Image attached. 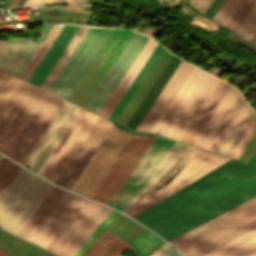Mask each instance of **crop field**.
Wrapping results in <instances>:
<instances>
[{
  "label": "crop field",
  "mask_w": 256,
  "mask_h": 256,
  "mask_svg": "<svg viewBox=\"0 0 256 256\" xmlns=\"http://www.w3.org/2000/svg\"><path fill=\"white\" fill-rule=\"evenodd\" d=\"M255 130H256V119L252 124V126L250 127V129L248 130V132L246 133L241 143L239 144V146L237 147L236 151L234 150L235 151L234 154L232 153L233 154L232 158L237 159V157L239 156V154L241 153V151L243 150V148L245 147V145L247 144V142L249 141V139L251 138Z\"/></svg>",
  "instance_id": "crop-field-38"
},
{
  "label": "crop field",
  "mask_w": 256,
  "mask_h": 256,
  "mask_svg": "<svg viewBox=\"0 0 256 256\" xmlns=\"http://www.w3.org/2000/svg\"><path fill=\"white\" fill-rule=\"evenodd\" d=\"M219 81L194 67L152 132L180 141Z\"/></svg>",
  "instance_id": "crop-field-4"
},
{
  "label": "crop field",
  "mask_w": 256,
  "mask_h": 256,
  "mask_svg": "<svg viewBox=\"0 0 256 256\" xmlns=\"http://www.w3.org/2000/svg\"><path fill=\"white\" fill-rule=\"evenodd\" d=\"M85 0H41L39 5L43 4H84Z\"/></svg>",
  "instance_id": "crop-field-42"
},
{
  "label": "crop field",
  "mask_w": 256,
  "mask_h": 256,
  "mask_svg": "<svg viewBox=\"0 0 256 256\" xmlns=\"http://www.w3.org/2000/svg\"><path fill=\"white\" fill-rule=\"evenodd\" d=\"M109 214V213H108ZM117 214L115 211H111L110 214L105 218V220L100 224V226L94 231V233L89 237V239L83 244V246L78 250V252L74 256H81L85 250L90 246V244L94 241V239L99 235V233L105 228V226L114 218Z\"/></svg>",
  "instance_id": "crop-field-36"
},
{
  "label": "crop field",
  "mask_w": 256,
  "mask_h": 256,
  "mask_svg": "<svg viewBox=\"0 0 256 256\" xmlns=\"http://www.w3.org/2000/svg\"><path fill=\"white\" fill-rule=\"evenodd\" d=\"M256 196V151L248 163L137 219L167 241Z\"/></svg>",
  "instance_id": "crop-field-1"
},
{
  "label": "crop field",
  "mask_w": 256,
  "mask_h": 256,
  "mask_svg": "<svg viewBox=\"0 0 256 256\" xmlns=\"http://www.w3.org/2000/svg\"><path fill=\"white\" fill-rule=\"evenodd\" d=\"M0 256H10V255L0 249Z\"/></svg>",
  "instance_id": "crop-field-44"
},
{
  "label": "crop field",
  "mask_w": 256,
  "mask_h": 256,
  "mask_svg": "<svg viewBox=\"0 0 256 256\" xmlns=\"http://www.w3.org/2000/svg\"><path fill=\"white\" fill-rule=\"evenodd\" d=\"M250 43H252V44L256 45V35L253 37V39L251 40V42H250Z\"/></svg>",
  "instance_id": "crop-field-45"
},
{
  "label": "crop field",
  "mask_w": 256,
  "mask_h": 256,
  "mask_svg": "<svg viewBox=\"0 0 256 256\" xmlns=\"http://www.w3.org/2000/svg\"><path fill=\"white\" fill-rule=\"evenodd\" d=\"M150 256H181V255L165 243Z\"/></svg>",
  "instance_id": "crop-field-40"
},
{
  "label": "crop field",
  "mask_w": 256,
  "mask_h": 256,
  "mask_svg": "<svg viewBox=\"0 0 256 256\" xmlns=\"http://www.w3.org/2000/svg\"><path fill=\"white\" fill-rule=\"evenodd\" d=\"M242 23V22H241ZM240 26V25H239ZM235 33V32H234ZM256 33V4L247 15L235 34L249 41Z\"/></svg>",
  "instance_id": "crop-field-33"
},
{
  "label": "crop field",
  "mask_w": 256,
  "mask_h": 256,
  "mask_svg": "<svg viewBox=\"0 0 256 256\" xmlns=\"http://www.w3.org/2000/svg\"><path fill=\"white\" fill-rule=\"evenodd\" d=\"M65 190L55 187L39 208L33 213L23 227L18 231L16 236L25 239L27 235L33 230V228L39 223V221L45 216V214L51 209V207L57 202V200L63 195Z\"/></svg>",
  "instance_id": "crop-field-25"
},
{
  "label": "crop field",
  "mask_w": 256,
  "mask_h": 256,
  "mask_svg": "<svg viewBox=\"0 0 256 256\" xmlns=\"http://www.w3.org/2000/svg\"><path fill=\"white\" fill-rule=\"evenodd\" d=\"M76 105L65 100L55 117L52 119L34 148L31 150L25 161L23 162V166L31 169L35 168L73 109Z\"/></svg>",
  "instance_id": "crop-field-18"
},
{
  "label": "crop field",
  "mask_w": 256,
  "mask_h": 256,
  "mask_svg": "<svg viewBox=\"0 0 256 256\" xmlns=\"http://www.w3.org/2000/svg\"><path fill=\"white\" fill-rule=\"evenodd\" d=\"M98 118L83 108L39 175L56 183Z\"/></svg>",
  "instance_id": "crop-field-10"
},
{
  "label": "crop field",
  "mask_w": 256,
  "mask_h": 256,
  "mask_svg": "<svg viewBox=\"0 0 256 256\" xmlns=\"http://www.w3.org/2000/svg\"><path fill=\"white\" fill-rule=\"evenodd\" d=\"M110 31L111 29L89 27L48 91L66 98Z\"/></svg>",
  "instance_id": "crop-field-8"
},
{
  "label": "crop field",
  "mask_w": 256,
  "mask_h": 256,
  "mask_svg": "<svg viewBox=\"0 0 256 256\" xmlns=\"http://www.w3.org/2000/svg\"><path fill=\"white\" fill-rule=\"evenodd\" d=\"M163 48L164 47H162L160 44L156 45V47L154 48V50L152 51V53L150 54V56L148 57V59L146 60V62L144 63V65L142 66V68L140 69V71L138 72V74L136 75V77L126 90V92L124 93V95L122 96L121 100L109 116V119L115 121V119L117 118L125 104L128 102V100L130 99V97L132 96V94L134 93V91L136 90V88L138 87V85L140 84V82L150 69V67L153 65V63L155 62Z\"/></svg>",
  "instance_id": "crop-field-24"
},
{
  "label": "crop field",
  "mask_w": 256,
  "mask_h": 256,
  "mask_svg": "<svg viewBox=\"0 0 256 256\" xmlns=\"http://www.w3.org/2000/svg\"><path fill=\"white\" fill-rule=\"evenodd\" d=\"M22 83V80L0 71V115Z\"/></svg>",
  "instance_id": "crop-field-26"
},
{
  "label": "crop field",
  "mask_w": 256,
  "mask_h": 256,
  "mask_svg": "<svg viewBox=\"0 0 256 256\" xmlns=\"http://www.w3.org/2000/svg\"><path fill=\"white\" fill-rule=\"evenodd\" d=\"M4 43H5V41H0V49L3 46Z\"/></svg>",
  "instance_id": "crop-field-47"
},
{
  "label": "crop field",
  "mask_w": 256,
  "mask_h": 256,
  "mask_svg": "<svg viewBox=\"0 0 256 256\" xmlns=\"http://www.w3.org/2000/svg\"><path fill=\"white\" fill-rule=\"evenodd\" d=\"M202 256H256V228Z\"/></svg>",
  "instance_id": "crop-field-22"
},
{
  "label": "crop field",
  "mask_w": 256,
  "mask_h": 256,
  "mask_svg": "<svg viewBox=\"0 0 256 256\" xmlns=\"http://www.w3.org/2000/svg\"><path fill=\"white\" fill-rule=\"evenodd\" d=\"M241 1L242 0H226L212 20L224 27Z\"/></svg>",
  "instance_id": "crop-field-34"
},
{
  "label": "crop field",
  "mask_w": 256,
  "mask_h": 256,
  "mask_svg": "<svg viewBox=\"0 0 256 256\" xmlns=\"http://www.w3.org/2000/svg\"><path fill=\"white\" fill-rule=\"evenodd\" d=\"M156 43L157 42H155L153 39L149 37V39L143 46L142 50L140 51V53L138 54V56L136 57V59L134 60V62L126 72L125 76L123 77V79L121 80V82L119 83V85L117 86V88L115 89L111 97L109 98L106 105L104 104L105 105L104 108L102 107L103 108L102 111L100 110L101 111L100 115L108 118V116L110 115V113L112 112L116 104L118 103L119 99L121 98V96L129 86V84L131 83V81L133 80V78L135 77V75L143 65L144 61L146 60V58L148 57V55L156 45Z\"/></svg>",
  "instance_id": "crop-field-20"
},
{
  "label": "crop field",
  "mask_w": 256,
  "mask_h": 256,
  "mask_svg": "<svg viewBox=\"0 0 256 256\" xmlns=\"http://www.w3.org/2000/svg\"><path fill=\"white\" fill-rule=\"evenodd\" d=\"M0 157H1V154H0Z\"/></svg>",
  "instance_id": "crop-field-48"
},
{
  "label": "crop field",
  "mask_w": 256,
  "mask_h": 256,
  "mask_svg": "<svg viewBox=\"0 0 256 256\" xmlns=\"http://www.w3.org/2000/svg\"><path fill=\"white\" fill-rule=\"evenodd\" d=\"M61 31L60 28H57V30L55 31V33L53 34V36L51 37V39L49 40V42L47 43V45L45 46V48L43 49V51L41 52V54L38 56V58L36 59V61L34 62V64L32 65V67L30 68V70L28 71V73L26 74V76L24 77V80L27 81V79L29 78V76L31 75V73L33 72V70L36 68V66L38 65V63L40 62V60L42 59V57L44 56V54L46 53V51L48 50V48L50 47V45L52 44V42L55 40V38L57 37V35L59 34V32Z\"/></svg>",
  "instance_id": "crop-field-37"
},
{
  "label": "crop field",
  "mask_w": 256,
  "mask_h": 256,
  "mask_svg": "<svg viewBox=\"0 0 256 256\" xmlns=\"http://www.w3.org/2000/svg\"><path fill=\"white\" fill-rule=\"evenodd\" d=\"M246 108V103L232 88L195 146L218 152Z\"/></svg>",
  "instance_id": "crop-field-11"
},
{
  "label": "crop field",
  "mask_w": 256,
  "mask_h": 256,
  "mask_svg": "<svg viewBox=\"0 0 256 256\" xmlns=\"http://www.w3.org/2000/svg\"><path fill=\"white\" fill-rule=\"evenodd\" d=\"M230 159L199 149L169 183L152 193L125 214L132 217Z\"/></svg>",
  "instance_id": "crop-field-9"
},
{
  "label": "crop field",
  "mask_w": 256,
  "mask_h": 256,
  "mask_svg": "<svg viewBox=\"0 0 256 256\" xmlns=\"http://www.w3.org/2000/svg\"><path fill=\"white\" fill-rule=\"evenodd\" d=\"M133 31L112 29L66 99L84 107Z\"/></svg>",
  "instance_id": "crop-field-6"
},
{
  "label": "crop field",
  "mask_w": 256,
  "mask_h": 256,
  "mask_svg": "<svg viewBox=\"0 0 256 256\" xmlns=\"http://www.w3.org/2000/svg\"><path fill=\"white\" fill-rule=\"evenodd\" d=\"M63 102L23 81L0 116V151L22 164Z\"/></svg>",
  "instance_id": "crop-field-3"
},
{
  "label": "crop field",
  "mask_w": 256,
  "mask_h": 256,
  "mask_svg": "<svg viewBox=\"0 0 256 256\" xmlns=\"http://www.w3.org/2000/svg\"><path fill=\"white\" fill-rule=\"evenodd\" d=\"M252 110L250 107H248V109L246 110V112L244 113V115L242 116V118L240 119L238 124L236 125V127L233 129V131L231 132V134L229 135V137L227 138V140L225 141V143L219 150V153L225 155V153L227 152V150L229 149V147L231 146V144L237 137L238 133L240 132V130L242 129V127L244 126V124L246 123V121L248 120L250 115L252 114V112H253Z\"/></svg>",
  "instance_id": "crop-field-35"
},
{
  "label": "crop field",
  "mask_w": 256,
  "mask_h": 256,
  "mask_svg": "<svg viewBox=\"0 0 256 256\" xmlns=\"http://www.w3.org/2000/svg\"><path fill=\"white\" fill-rule=\"evenodd\" d=\"M79 28L80 26L65 25L35 71L28 79V82L40 87Z\"/></svg>",
  "instance_id": "crop-field-17"
},
{
  "label": "crop field",
  "mask_w": 256,
  "mask_h": 256,
  "mask_svg": "<svg viewBox=\"0 0 256 256\" xmlns=\"http://www.w3.org/2000/svg\"><path fill=\"white\" fill-rule=\"evenodd\" d=\"M148 39V36L134 32L110 70L107 72L85 108L99 113L123 75Z\"/></svg>",
  "instance_id": "crop-field-12"
},
{
  "label": "crop field",
  "mask_w": 256,
  "mask_h": 256,
  "mask_svg": "<svg viewBox=\"0 0 256 256\" xmlns=\"http://www.w3.org/2000/svg\"><path fill=\"white\" fill-rule=\"evenodd\" d=\"M130 246L119 236L104 229L83 256H122Z\"/></svg>",
  "instance_id": "crop-field-23"
},
{
  "label": "crop field",
  "mask_w": 256,
  "mask_h": 256,
  "mask_svg": "<svg viewBox=\"0 0 256 256\" xmlns=\"http://www.w3.org/2000/svg\"><path fill=\"white\" fill-rule=\"evenodd\" d=\"M110 211L87 199L45 249L59 256H73Z\"/></svg>",
  "instance_id": "crop-field-7"
},
{
  "label": "crop field",
  "mask_w": 256,
  "mask_h": 256,
  "mask_svg": "<svg viewBox=\"0 0 256 256\" xmlns=\"http://www.w3.org/2000/svg\"><path fill=\"white\" fill-rule=\"evenodd\" d=\"M40 0H35V2L32 4V6H37Z\"/></svg>",
  "instance_id": "crop-field-46"
},
{
  "label": "crop field",
  "mask_w": 256,
  "mask_h": 256,
  "mask_svg": "<svg viewBox=\"0 0 256 256\" xmlns=\"http://www.w3.org/2000/svg\"><path fill=\"white\" fill-rule=\"evenodd\" d=\"M33 2L34 0H26L25 3L22 5V7L31 6Z\"/></svg>",
  "instance_id": "crop-field-43"
},
{
  "label": "crop field",
  "mask_w": 256,
  "mask_h": 256,
  "mask_svg": "<svg viewBox=\"0 0 256 256\" xmlns=\"http://www.w3.org/2000/svg\"><path fill=\"white\" fill-rule=\"evenodd\" d=\"M80 110H81V107L76 106V108L74 109V111L72 112V114L70 115V117L68 118V120L66 121V123L64 124V126L62 127V129L60 130L56 138L54 139V141L52 142V144L50 145V147L48 148V150L46 151V153L44 154V156L42 157V159L34 169V172L39 174V172L41 171V169L49 159L50 155L52 154V152L54 151V149L56 148V146L58 145V143L60 142V140L62 139V137L64 136V134L66 133V131L68 130V128L70 127L71 123L73 122V120L75 119V117L77 116Z\"/></svg>",
  "instance_id": "crop-field-29"
},
{
  "label": "crop field",
  "mask_w": 256,
  "mask_h": 256,
  "mask_svg": "<svg viewBox=\"0 0 256 256\" xmlns=\"http://www.w3.org/2000/svg\"><path fill=\"white\" fill-rule=\"evenodd\" d=\"M55 185L21 169L0 195V226L16 234Z\"/></svg>",
  "instance_id": "crop-field-5"
},
{
  "label": "crop field",
  "mask_w": 256,
  "mask_h": 256,
  "mask_svg": "<svg viewBox=\"0 0 256 256\" xmlns=\"http://www.w3.org/2000/svg\"><path fill=\"white\" fill-rule=\"evenodd\" d=\"M22 167L2 157L0 160V194Z\"/></svg>",
  "instance_id": "crop-field-30"
},
{
  "label": "crop field",
  "mask_w": 256,
  "mask_h": 256,
  "mask_svg": "<svg viewBox=\"0 0 256 256\" xmlns=\"http://www.w3.org/2000/svg\"><path fill=\"white\" fill-rule=\"evenodd\" d=\"M192 7L204 14L213 0H189Z\"/></svg>",
  "instance_id": "crop-field-41"
},
{
  "label": "crop field",
  "mask_w": 256,
  "mask_h": 256,
  "mask_svg": "<svg viewBox=\"0 0 256 256\" xmlns=\"http://www.w3.org/2000/svg\"><path fill=\"white\" fill-rule=\"evenodd\" d=\"M52 23H43L38 42L32 38L8 40L0 50V69L19 77L47 33Z\"/></svg>",
  "instance_id": "crop-field-14"
},
{
  "label": "crop field",
  "mask_w": 256,
  "mask_h": 256,
  "mask_svg": "<svg viewBox=\"0 0 256 256\" xmlns=\"http://www.w3.org/2000/svg\"><path fill=\"white\" fill-rule=\"evenodd\" d=\"M256 0H243L239 5L235 13L232 15L228 23L225 25V28L235 32L241 22L244 20L246 15L249 13Z\"/></svg>",
  "instance_id": "crop-field-32"
},
{
  "label": "crop field",
  "mask_w": 256,
  "mask_h": 256,
  "mask_svg": "<svg viewBox=\"0 0 256 256\" xmlns=\"http://www.w3.org/2000/svg\"><path fill=\"white\" fill-rule=\"evenodd\" d=\"M156 138L157 135L153 137L134 136L93 196V199L111 206ZM176 144L177 141L158 136L112 204V207L122 211L141 195L147 189ZM189 147L190 145L178 142L150 186L155 183Z\"/></svg>",
  "instance_id": "crop-field-2"
},
{
  "label": "crop field",
  "mask_w": 256,
  "mask_h": 256,
  "mask_svg": "<svg viewBox=\"0 0 256 256\" xmlns=\"http://www.w3.org/2000/svg\"><path fill=\"white\" fill-rule=\"evenodd\" d=\"M85 200L84 197L66 191L26 240L45 248Z\"/></svg>",
  "instance_id": "crop-field-13"
},
{
  "label": "crop field",
  "mask_w": 256,
  "mask_h": 256,
  "mask_svg": "<svg viewBox=\"0 0 256 256\" xmlns=\"http://www.w3.org/2000/svg\"><path fill=\"white\" fill-rule=\"evenodd\" d=\"M193 67L194 66L182 60L136 130L151 131Z\"/></svg>",
  "instance_id": "crop-field-15"
},
{
  "label": "crop field",
  "mask_w": 256,
  "mask_h": 256,
  "mask_svg": "<svg viewBox=\"0 0 256 256\" xmlns=\"http://www.w3.org/2000/svg\"><path fill=\"white\" fill-rule=\"evenodd\" d=\"M87 29L88 27L81 26V28L79 29L73 40L70 42V44L68 45V47L66 48V50L54 66V68L52 69V71L49 73V75L41 85V88L47 90V88L49 87V85L51 84V82L53 81V79L55 78V76L57 75V73L67 60V58L70 56V54L72 53V51L74 50V48L76 47V45L78 44V42L80 41V39L82 38Z\"/></svg>",
  "instance_id": "crop-field-27"
},
{
  "label": "crop field",
  "mask_w": 256,
  "mask_h": 256,
  "mask_svg": "<svg viewBox=\"0 0 256 256\" xmlns=\"http://www.w3.org/2000/svg\"><path fill=\"white\" fill-rule=\"evenodd\" d=\"M59 25V24H56ZM54 25L52 27V29L50 30V32L48 33L47 37L45 38V40L43 41L42 45L40 46V48L38 49V51L36 52V54L33 56V58L31 59V61L29 62V64L27 65V67L25 68V70L22 72V74L20 75V78L23 79V77L25 76V74L27 73V71L29 70V68L31 67V65L33 64V62L35 61V59L37 58V56L39 55V53L41 52V50L43 49V47L45 46V44L47 43V41L49 40V38L51 37V35L53 34V32L55 31V29L57 28V26Z\"/></svg>",
  "instance_id": "crop-field-39"
},
{
  "label": "crop field",
  "mask_w": 256,
  "mask_h": 256,
  "mask_svg": "<svg viewBox=\"0 0 256 256\" xmlns=\"http://www.w3.org/2000/svg\"><path fill=\"white\" fill-rule=\"evenodd\" d=\"M160 241L162 240L159 237L155 236L146 229L130 244L138 251L141 256L149 249L154 247L156 244H158Z\"/></svg>",
  "instance_id": "crop-field-31"
},
{
  "label": "crop field",
  "mask_w": 256,
  "mask_h": 256,
  "mask_svg": "<svg viewBox=\"0 0 256 256\" xmlns=\"http://www.w3.org/2000/svg\"><path fill=\"white\" fill-rule=\"evenodd\" d=\"M245 163L239 162L237 160H230L228 162H226L225 164L221 165L220 167L214 169L213 171L207 173L206 175L202 176L201 178L195 180L194 182L190 183L189 185L183 187L182 189L176 191L175 193L171 194L170 196L164 198L163 200L159 201L158 203L154 204L153 206L149 207L148 209L142 211L141 213L137 214L136 216H134L133 218H138L242 165H244Z\"/></svg>",
  "instance_id": "crop-field-21"
},
{
  "label": "crop field",
  "mask_w": 256,
  "mask_h": 256,
  "mask_svg": "<svg viewBox=\"0 0 256 256\" xmlns=\"http://www.w3.org/2000/svg\"><path fill=\"white\" fill-rule=\"evenodd\" d=\"M231 89V86L223 83L220 81L202 110L199 112L183 138L181 142H185L188 144L194 145L210 119L212 118L213 114Z\"/></svg>",
  "instance_id": "crop-field-19"
},
{
  "label": "crop field",
  "mask_w": 256,
  "mask_h": 256,
  "mask_svg": "<svg viewBox=\"0 0 256 256\" xmlns=\"http://www.w3.org/2000/svg\"><path fill=\"white\" fill-rule=\"evenodd\" d=\"M198 150V148H195L191 146L189 150L181 157V159L174 165V167L156 184H154L152 187H150L144 194H142L139 198H137L133 203H131L126 209H124L122 212L128 211L130 208H132L134 205H136L138 202H140L142 199H144L146 196H148L150 193L158 189L160 186L165 184L172 175Z\"/></svg>",
  "instance_id": "crop-field-28"
},
{
  "label": "crop field",
  "mask_w": 256,
  "mask_h": 256,
  "mask_svg": "<svg viewBox=\"0 0 256 256\" xmlns=\"http://www.w3.org/2000/svg\"><path fill=\"white\" fill-rule=\"evenodd\" d=\"M107 131L108 128L104 126L97 123L94 125L77 153L57 181V184L70 189Z\"/></svg>",
  "instance_id": "crop-field-16"
}]
</instances>
